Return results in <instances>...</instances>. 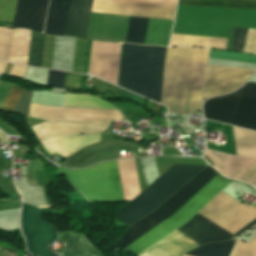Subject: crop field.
Returning a JSON list of instances; mask_svg holds the SVG:
<instances>
[{"mask_svg": "<svg viewBox=\"0 0 256 256\" xmlns=\"http://www.w3.org/2000/svg\"><path fill=\"white\" fill-rule=\"evenodd\" d=\"M215 175L216 172L214 169L207 166L162 206L132 225L127 232L116 241L123 248L126 247L142 234L172 216L189 198H191ZM229 183V181L222 180L218 175H216L191 199H189L172 217L148 231L124 249L135 256L138 255L146 248L185 224L200 208H202Z\"/></svg>", "mask_w": 256, "mask_h": 256, "instance_id": "crop-field-1", "label": "crop field"}, {"mask_svg": "<svg viewBox=\"0 0 256 256\" xmlns=\"http://www.w3.org/2000/svg\"><path fill=\"white\" fill-rule=\"evenodd\" d=\"M255 209L252 205L242 204L220 192L198 213L225 230H229ZM199 214L179 229L202 244L223 241L232 237V234ZM180 230H176L138 256H181L202 245Z\"/></svg>", "mask_w": 256, "mask_h": 256, "instance_id": "crop-field-2", "label": "crop field"}, {"mask_svg": "<svg viewBox=\"0 0 256 256\" xmlns=\"http://www.w3.org/2000/svg\"><path fill=\"white\" fill-rule=\"evenodd\" d=\"M207 59L205 48L167 47L161 104L168 112L201 110Z\"/></svg>", "mask_w": 256, "mask_h": 256, "instance_id": "crop-field-3", "label": "crop field"}, {"mask_svg": "<svg viewBox=\"0 0 256 256\" xmlns=\"http://www.w3.org/2000/svg\"><path fill=\"white\" fill-rule=\"evenodd\" d=\"M166 47L122 43L118 85L160 103Z\"/></svg>", "mask_w": 256, "mask_h": 256, "instance_id": "crop-field-4", "label": "crop field"}, {"mask_svg": "<svg viewBox=\"0 0 256 256\" xmlns=\"http://www.w3.org/2000/svg\"><path fill=\"white\" fill-rule=\"evenodd\" d=\"M204 167L173 165L132 202L117 211L113 217L123 224L132 225L137 220L152 212Z\"/></svg>", "mask_w": 256, "mask_h": 256, "instance_id": "crop-field-5", "label": "crop field"}, {"mask_svg": "<svg viewBox=\"0 0 256 256\" xmlns=\"http://www.w3.org/2000/svg\"><path fill=\"white\" fill-rule=\"evenodd\" d=\"M58 168L89 202L123 201L116 161L82 170Z\"/></svg>", "mask_w": 256, "mask_h": 256, "instance_id": "crop-field-6", "label": "crop field"}, {"mask_svg": "<svg viewBox=\"0 0 256 256\" xmlns=\"http://www.w3.org/2000/svg\"><path fill=\"white\" fill-rule=\"evenodd\" d=\"M47 223V222H46ZM41 218L40 210L23 203L21 229L28 251L36 256H56L48 252L46 243L56 237V230Z\"/></svg>", "mask_w": 256, "mask_h": 256, "instance_id": "crop-field-7", "label": "crop field"}, {"mask_svg": "<svg viewBox=\"0 0 256 256\" xmlns=\"http://www.w3.org/2000/svg\"><path fill=\"white\" fill-rule=\"evenodd\" d=\"M175 6L135 0H94L92 12L173 19Z\"/></svg>", "mask_w": 256, "mask_h": 256, "instance_id": "crop-field-8", "label": "crop field"}, {"mask_svg": "<svg viewBox=\"0 0 256 256\" xmlns=\"http://www.w3.org/2000/svg\"><path fill=\"white\" fill-rule=\"evenodd\" d=\"M255 71L209 66L204 99L234 91Z\"/></svg>", "mask_w": 256, "mask_h": 256, "instance_id": "crop-field-9", "label": "crop field"}, {"mask_svg": "<svg viewBox=\"0 0 256 256\" xmlns=\"http://www.w3.org/2000/svg\"><path fill=\"white\" fill-rule=\"evenodd\" d=\"M48 0H18L13 28L42 32Z\"/></svg>", "mask_w": 256, "mask_h": 256, "instance_id": "crop-field-10", "label": "crop field"}, {"mask_svg": "<svg viewBox=\"0 0 256 256\" xmlns=\"http://www.w3.org/2000/svg\"><path fill=\"white\" fill-rule=\"evenodd\" d=\"M231 124L256 131V83H245Z\"/></svg>", "mask_w": 256, "mask_h": 256, "instance_id": "crop-field-11", "label": "crop field"}, {"mask_svg": "<svg viewBox=\"0 0 256 256\" xmlns=\"http://www.w3.org/2000/svg\"><path fill=\"white\" fill-rule=\"evenodd\" d=\"M242 88L231 95L207 100L204 105L205 118L230 124Z\"/></svg>", "mask_w": 256, "mask_h": 256, "instance_id": "crop-field-12", "label": "crop field"}, {"mask_svg": "<svg viewBox=\"0 0 256 256\" xmlns=\"http://www.w3.org/2000/svg\"><path fill=\"white\" fill-rule=\"evenodd\" d=\"M93 0H72L65 35L85 38Z\"/></svg>", "mask_w": 256, "mask_h": 256, "instance_id": "crop-field-13", "label": "crop field"}, {"mask_svg": "<svg viewBox=\"0 0 256 256\" xmlns=\"http://www.w3.org/2000/svg\"><path fill=\"white\" fill-rule=\"evenodd\" d=\"M71 0H50L44 33L64 35Z\"/></svg>", "mask_w": 256, "mask_h": 256, "instance_id": "crop-field-14", "label": "crop field"}, {"mask_svg": "<svg viewBox=\"0 0 256 256\" xmlns=\"http://www.w3.org/2000/svg\"><path fill=\"white\" fill-rule=\"evenodd\" d=\"M65 245L61 256H102L82 234L59 233Z\"/></svg>", "mask_w": 256, "mask_h": 256, "instance_id": "crop-field-15", "label": "crop field"}, {"mask_svg": "<svg viewBox=\"0 0 256 256\" xmlns=\"http://www.w3.org/2000/svg\"><path fill=\"white\" fill-rule=\"evenodd\" d=\"M21 90V88L12 86V88L0 104V110L4 112H12ZM30 94L31 92L22 90L12 113L27 116Z\"/></svg>", "mask_w": 256, "mask_h": 256, "instance_id": "crop-field-16", "label": "crop field"}, {"mask_svg": "<svg viewBox=\"0 0 256 256\" xmlns=\"http://www.w3.org/2000/svg\"><path fill=\"white\" fill-rule=\"evenodd\" d=\"M173 21L150 19L144 44L168 46Z\"/></svg>", "mask_w": 256, "mask_h": 256, "instance_id": "crop-field-17", "label": "crop field"}, {"mask_svg": "<svg viewBox=\"0 0 256 256\" xmlns=\"http://www.w3.org/2000/svg\"><path fill=\"white\" fill-rule=\"evenodd\" d=\"M179 4L256 10V0H179Z\"/></svg>", "mask_w": 256, "mask_h": 256, "instance_id": "crop-field-18", "label": "crop field"}, {"mask_svg": "<svg viewBox=\"0 0 256 256\" xmlns=\"http://www.w3.org/2000/svg\"><path fill=\"white\" fill-rule=\"evenodd\" d=\"M63 106L117 109L104 101L96 99L93 96L71 94H65Z\"/></svg>", "mask_w": 256, "mask_h": 256, "instance_id": "crop-field-19", "label": "crop field"}, {"mask_svg": "<svg viewBox=\"0 0 256 256\" xmlns=\"http://www.w3.org/2000/svg\"><path fill=\"white\" fill-rule=\"evenodd\" d=\"M234 243V241L229 240L223 243L207 244L186 254L191 256H228Z\"/></svg>", "mask_w": 256, "mask_h": 256, "instance_id": "crop-field-20", "label": "crop field"}, {"mask_svg": "<svg viewBox=\"0 0 256 256\" xmlns=\"http://www.w3.org/2000/svg\"><path fill=\"white\" fill-rule=\"evenodd\" d=\"M100 134L94 135H73L55 138L59 141L68 151L75 153L79 149L99 141Z\"/></svg>", "mask_w": 256, "mask_h": 256, "instance_id": "crop-field-21", "label": "crop field"}, {"mask_svg": "<svg viewBox=\"0 0 256 256\" xmlns=\"http://www.w3.org/2000/svg\"><path fill=\"white\" fill-rule=\"evenodd\" d=\"M149 19L130 17L125 42L143 44Z\"/></svg>", "mask_w": 256, "mask_h": 256, "instance_id": "crop-field-22", "label": "crop field"}, {"mask_svg": "<svg viewBox=\"0 0 256 256\" xmlns=\"http://www.w3.org/2000/svg\"><path fill=\"white\" fill-rule=\"evenodd\" d=\"M44 38V34L32 31L28 64L40 67Z\"/></svg>", "mask_w": 256, "mask_h": 256, "instance_id": "crop-field-23", "label": "crop field"}, {"mask_svg": "<svg viewBox=\"0 0 256 256\" xmlns=\"http://www.w3.org/2000/svg\"><path fill=\"white\" fill-rule=\"evenodd\" d=\"M15 30L0 28V60L10 62Z\"/></svg>", "mask_w": 256, "mask_h": 256, "instance_id": "crop-field-24", "label": "crop field"}, {"mask_svg": "<svg viewBox=\"0 0 256 256\" xmlns=\"http://www.w3.org/2000/svg\"><path fill=\"white\" fill-rule=\"evenodd\" d=\"M86 44H87L86 40L76 38L73 67H72V71L74 72L83 73Z\"/></svg>", "mask_w": 256, "mask_h": 256, "instance_id": "crop-field-25", "label": "crop field"}, {"mask_svg": "<svg viewBox=\"0 0 256 256\" xmlns=\"http://www.w3.org/2000/svg\"><path fill=\"white\" fill-rule=\"evenodd\" d=\"M210 58L237 60V61H243V62L256 63L255 56L248 55V54H242V53H234V52L211 50Z\"/></svg>", "mask_w": 256, "mask_h": 256, "instance_id": "crop-field-26", "label": "crop field"}, {"mask_svg": "<svg viewBox=\"0 0 256 256\" xmlns=\"http://www.w3.org/2000/svg\"><path fill=\"white\" fill-rule=\"evenodd\" d=\"M17 0H0V21L13 22Z\"/></svg>", "mask_w": 256, "mask_h": 256, "instance_id": "crop-field-27", "label": "crop field"}, {"mask_svg": "<svg viewBox=\"0 0 256 256\" xmlns=\"http://www.w3.org/2000/svg\"><path fill=\"white\" fill-rule=\"evenodd\" d=\"M39 141L43 145V147L48 151V153L51 155L57 153L67 158L71 154L61 144H59L54 138L43 139Z\"/></svg>", "mask_w": 256, "mask_h": 256, "instance_id": "crop-field-28", "label": "crop field"}, {"mask_svg": "<svg viewBox=\"0 0 256 256\" xmlns=\"http://www.w3.org/2000/svg\"><path fill=\"white\" fill-rule=\"evenodd\" d=\"M231 256H248V244L237 241ZM249 256H256V236L249 243Z\"/></svg>", "mask_w": 256, "mask_h": 256, "instance_id": "crop-field-29", "label": "crop field"}, {"mask_svg": "<svg viewBox=\"0 0 256 256\" xmlns=\"http://www.w3.org/2000/svg\"><path fill=\"white\" fill-rule=\"evenodd\" d=\"M247 31L248 29L235 28L231 50L243 52Z\"/></svg>", "mask_w": 256, "mask_h": 256, "instance_id": "crop-field-30", "label": "crop field"}, {"mask_svg": "<svg viewBox=\"0 0 256 256\" xmlns=\"http://www.w3.org/2000/svg\"><path fill=\"white\" fill-rule=\"evenodd\" d=\"M65 72L49 70L47 85L63 88Z\"/></svg>", "mask_w": 256, "mask_h": 256, "instance_id": "crop-field-31", "label": "crop field"}, {"mask_svg": "<svg viewBox=\"0 0 256 256\" xmlns=\"http://www.w3.org/2000/svg\"><path fill=\"white\" fill-rule=\"evenodd\" d=\"M64 88L80 89V75L66 73Z\"/></svg>", "mask_w": 256, "mask_h": 256, "instance_id": "crop-field-32", "label": "crop field"}, {"mask_svg": "<svg viewBox=\"0 0 256 256\" xmlns=\"http://www.w3.org/2000/svg\"><path fill=\"white\" fill-rule=\"evenodd\" d=\"M5 64L6 63L0 62V73L1 74H3V72H4ZM26 67L27 66H24V65L14 64L9 75L22 78Z\"/></svg>", "mask_w": 256, "mask_h": 256, "instance_id": "crop-field-33", "label": "crop field"}, {"mask_svg": "<svg viewBox=\"0 0 256 256\" xmlns=\"http://www.w3.org/2000/svg\"><path fill=\"white\" fill-rule=\"evenodd\" d=\"M256 218V211L254 213H252L250 216H248L247 218H245L243 221H241L240 223H238L236 226H234L233 228H231L228 232L234 234L235 232H237L239 229H241L242 227H244L245 225H247L248 223H250L251 221H253Z\"/></svg>", "mask_w": 256, "mask_h": 256, "instance_id": "crop-field-34", "label": "crop field"}, {"mask_svg": "<svg viewBox=\"0 0 256 256\" xmlns=\"http://www.w3.org/2000/svg\"><path fill=\"white\" fill-rule=\"evenodd\" d=\"M256 224V220H254L253 222H251L250 224H248L246 227H244L242 230H240L239 232H237L236 234H234L236 237L238 235H240L241 233H243L244 231L248 230L249 228H251L252 226H254Z\"/></svg>", "mask_w": 256, "mask_h": 256, "instance_id": "crop-field-35", "label": "crop field"}, {"mask_svg": "<svg viewBox=\"0 0 256 256\" xmlns=\"http://www.w3.org/2000/svg\"><path fill=\"white\" fill-rule=\"evenodd\" d=\"M0 139H1V142H7L6 135H4L1 131H0Z\"/></svg>", "mask_w": 256, "mask_h": 256, "instance_id": "crop-field-36", "label": "crop field"}, {"mask_svg": "<svg viewBox=\"0 0 256 256\" xmlns=\"http://www.w3.org/2000/svg\"><path fill=\"white\" fill-rule=\"evenodd\" d=\"M147 1H159V2H171V3H176L177 0H147Z\"/></svg>", "mask_w": 256, "mask_h": 256, "instance_id": "crop-field-37", "label": "crop field"}, {"mask_svg": "<svg viewBox=\"0 0 256 256\" xmlns=\"http://www.w3.org/2000/svg\"><path fill=\"white\" fill-rule=\"evenodd\" d=\"M39 207H50V206H39Z\"/></svg>", "mask_w": 256, "mask_h": 256, "instance_id": "crop-field-38", "label": "crop field"}, {"mask_svg": "<svg viewBox=\"0 0 256 256\" xmlns=\"http://www.w3.org/2000/svg\"><path fill=\"white\" fill-rule=\"evenodd\" d=\"M0 157H2L1 154H0Z\"/></svg>", "mask_w": 256, "mask_h": 256, "instance_id": "crop-field-39", "label": "crop field"}, {"mask_svg": "<svg viewBox=\"0 0 256 256\" xmlns=\"http://www.w3.org/2000/svg\"><path fill=\"white\" fill-rule=\"evenodd\" d=\"M184 256V255H183Z\"/></svg>", "mask_w": 256, "mask_h": 256, "instance_id": "crop-field-40", "label": "crop field"}]
</instances>
